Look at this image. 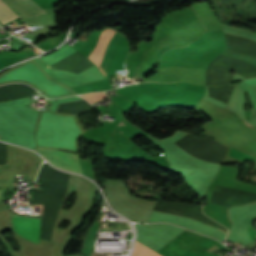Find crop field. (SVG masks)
I'll return each mask as SVG.
<instances>
[{
	"label": "crop field",
	"mask_w": 256,
	"mask_h": 256,
	"mask_svg": "<svg viewBox=\"0 0 256 256\" xmlns=\"http://www.w3.org/2000/svg\"><path fill=\"white\" fill-rule=\"evenodd\" d=\"M114 33H115V31L110 30V29L104 30L99 37L98 45L95 47V49L89 55L88 59H90L97 67L99 66V63L104 54L105 48ZM123 37H124L123 35L116 32L113 35L112 39L110 40V42L107 46V49L105 51V54L100 63V66H99L105 74L108 70V67H109L111 59L114 55V52H115L120 40ZM100 68H99V70L101 71ZM102 71H101V73L104 75V73Z\"/></svg>",
	"instance_id": "1"
},
{
	"label": "crop field",
	"mask_w": 256,
	"mask_h": 256,
	"mask_svg": "<svg viewBox=\"0 0 256 256\" xmlns=\"http://www.w3.org/2000/svg\"><path fill=\"white\" fill-rule=\"evenodd\" d=\"M37 151L41 153L47 161L49 160L52 164L60 168L76 173H82L77 154L65 153L59 150L45 148H38Z\"/></svg>",
	"instance_id": "2"
},
{
	"label": "crop field",
	"mask_w": 256,
	"mask_h": 256,
	"mask_svg": "<svg viewBox=\"0 0 256 256\" xmlns=\"http://www.w3.org/2000/svg\"><path fill=\"white\" fill-rule=\"evenodd\" d=\"M15 230L32 241H38L40 219L31 217H12Z\"/></svg>",
	"instance_id": "3"
},
{
	"label": "crop field",
	"mask_w": 256,
	"mask_h": 256,
	"mask_svg": "<svg viewBox=\"0 0 256 256\" xmlns=\"http://www.w3.org/2000/svg\"><path fill=\"white\" fill-rule=\"evenodd\" d=\"M92 66L94 65L88 59H86L84 56L77 52L49 67L55 70H67L79 73Z\"/></svg>",
	"instance_id": "4"
},
{
	"label": "crop field",
	"mask_w": 256,
	"mask_h": 256,
	"mask_svg": "<svg viewBox=\"0 0 256 256\" xmlns=\"http://www.w3.org/2000/svg\"><path fill=\"white\" fill-rule=\"evenodd\" d=\"M19 17L16 11L7 3L6 0H0V21L5 24Z\"/></svg>",
	"instance_id": "5"
},
{
	"label": "crop field",
	"mask_w": 256,
	"mask_h": 256,
	"mask_svg": "<svg viewBox=\"0 0 256 256\" xmlns=\"http://www.w3.org/2000/svg\"><path fill=\"white\" fill-rule=\"evenodd\" d=\"M133 256H160V255L151 251L150 249L143 246L142 244L136 242L135 247H134V251H133Z\"/></svg>",
	"instance_id": "6"
},
{
	"label": "crop field",
	"mask_w": 256,
	"mask_h": 256,
	"mask_svg": "<svg viewBox=\"0 0 256 256\" xmlns=\"http://www.w3.org/2000/svg\"><path fill=\"white\" fill-rule=\"evenodd\" d=\"M81 96H83L89 102L94 103L96 101H99V100L107 97V94L104 92H99V93L85 94V95H81Z\"/></svg>",
	"instance_id": "7"
},
{
	"label": "crop field",
	"mask_w": 256,
	"mask_h": 256,
	"mask_svg": "<svg viewBox=\"0 0 256 256\" xmlns=\"http://www.w3.org/2000/svg\"><path fill=\"white\" fill-rule=\"evenodd\" d=\"M33 206H37V207H42L43 208V206H38V205H33ZM41 212H42V210H41Z\"/></svg>",
	"instance_id": "8"
},
{
	"label": "crop field",
	"mask_w": 256,
	"mask_h": 256,
	"mask_svg": "<svg viewBox=\"0 0 256 256\" xmlns=\"http://www.w3.org/2000/svg\"><path fill=\"white\" fill-rule=\"evenodd\" d=\"M223 229H224V230L226 231V233H227V229H226V228H224V227H223Z\"/></svg>",
	"instance_id": "9"
}]
</instances>
